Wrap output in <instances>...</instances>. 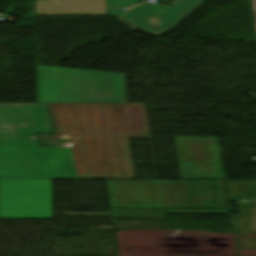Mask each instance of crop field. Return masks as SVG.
<instances>
[{
	"instance_id": "obj_4",
	"label": "crop field",
	"mask_w": 256,
	"mask_h": 256,
	"mask_svg": "<svg viewBox=\"0 0 256 256\" xmlns=\"http://www.w3.org/2000/svg\"><path fill=\"white\" fill-rule=\"evenodd\" d=\"M0 218H51V180H0Z\"/></svg>"
},
{
	"instance_id": "obj_3",
	"label": "crop field",
	"mask_w": 256,
	"mask_h": 256,
	"mask_svg": "<svg viewBox=\"0 0 256 256\" xmlns=\"http://www.w3.org/2000/svg\"><path fill=\"white\" fill-rule=\"evenodd\" d=\"M72 138L80 179H134L128 139Z\"/></svg>"
},
{
	"instance_id": "obj_11",
	"label": "crop field",
	"mask_w": 256,
	"mask_h": 256,
	"mask_svg": "<svg viewBox=\"0 0 256 256\" xmlns=\"http://www.w3.org/2000/svg\"><path fill=\"white\" fill-rule=\"evenodd\" d=\"M107 14L120 17L134 5L139 3V0H106ZM127 8V10H123Z\"/></svg>"
},
{
	"instance_id": "obj_10",
	"label": "crop field",
	"mask_w": 256,
	"mask_h": 256,
	"mask_svg": "<svg viewBox=\"0 0 256 256\" xmlns=\"http://www.w3.org/2000/svg\"><path fill=\"white\" fill-rule=\"evenodd\" d=\"M126 138L148 139L150 132L144 104H120Z\"/></svg>"
},
{
	"instance_id": "obj_9",
	"label": "crop field",
	"mask_w": 256,
	"mask_h": 256,
	"mask_svg": "<svg viewBox=\"0 0 256 256\" xmlns=\"http://www.w3.org/2000/svg\"><path fill=\"white\" fill-rule=\"evenodd\" d=\"M106 14L105 0H35V15Z\"/></svg>"
},
{
	"instance_id": "obj_12",
	"label": "crop field",
	"mask_w": 256,
	"mask_h": 256,
	"mask_svg": "<svg viewBox=\"0 0 256 256\" xmlns=\"http://www.w3.org/2000/svg\"><path fill=\"white\" fill-rule=\"evenodd\" d=\"M60 134L69 135L62 104H53Z\"/></svg>"
},
{
	"instance_id": "obj_7",
	"label": "crop field",
	"mask_w": 256,
	"mask_h": 256,
	"mask_svg": "<svg viewBox=\"0 0 256 256\" xmlns=\"http://www.w3.org/2000/svg\"><path fill=\"white\" fill-rule=\"evenodd\" d=\"M181 178L223 179L217 139L175 138Z\"/></svg>"
},
{
	"instance_id": "obj_5",
	"label": "crop field",
	"mask_w": 256,
	"mask_h": 256,
	"mask_svg": "<svg viewBox=\"0 0 256 256\" xmlns=\"http://www.w3.org/2000/svg\"><path fill=\"white\" fill-rule=\"evenodd\" d=\"M70 135L125 138L119 104H63Z\"/></svg>"
},
{
	"instance_id": "obj_14",
	"label": "crop field",
	"mask_w": 256,
	"mask_h": 256,
	"mask_svg": "<svg viewBox=\"0 0 256 256\" xmlns=\"http://www.w3.org/2000/svg\"><path fill=\"white\" fill-rule=\"evenodd\" d=\"M253 3H254L255 15H256V0H253Z\"/></svg>"
},
{
	"instance_id": "obj_2",
	"label": "crop field",
	"mask_w": 256,
	"mask_h": 256,
	"mask_svg": "<svg viewBox=\"0 0 256 256\" xmlns=\"http://www.w3.org/2000/svg\"><path fill=\"white\" fill-rule=\"evenodd\" d=\"M38 103H127L124 74L38 65Z\"/></svg>"
},
{
	"instance_id": "obj_8",
	"label": "crop field",
	"mask_w": 256,
	"mask_h": 256,
	"mask_svg": "<svg viewBox=\"0 0 256 256\" xmlns=\"http://www.w3.org/2000/svg\"><path fill=\"white\" fill-rule=\"evenodd\" d=\"M180 1L173 8L159 4H142L122 19L152 35L168 32L205 0Z\"/></svg>"
},
{
	"instance_id": "obj_6",
	"label": "crop field",
	"mask_w": 256,
	"mask_h": 256,
	"mask_svg": "<svg viewBox=\"0 0 256 256\" xmlns=\"http://www.w3.org/2000/svg\"><path fill=\"white\" fill-rule=\"evenodd\" d=\"M112 208L172 209L169 181H107Z\"/></svg>"
},
{
	"instance_id": "obj_1",
	"label": "crop field",
	"mask_w": 256,
	"mask_h": 256,
	"mask_svg": "<svg viewBox=\"0 0 256 256\" xmlns=\"http://www.w3.org/2000/svg\"><path fill=\"white\" fill-rule=\"evenodd\" d=\"M53 134L47 104H0V179H77L72 148H39Z\"/></svg>"
},
{
	"instance_id": "obj_13",
	"label": "crop field",
	"mask_w": 256,
	"mask_h": 256,
	"mask_svg": "<svg viewBox=\"0 0 256 256\" xmlns=\"http://www.w3.org/2000/svg\"><path fill=\"white\" fill-rule=\"evenodd\" d=\"M237 250L256 249V238L252 235H235Z\"/></svg>"
}]
</instances>
